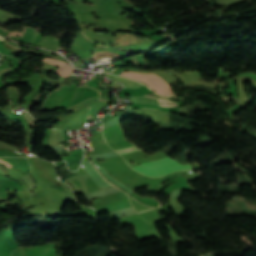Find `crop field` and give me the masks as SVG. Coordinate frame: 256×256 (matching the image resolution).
<instances>
[{"instance_id":"crop-field-2","label":"crop field","mask_w":256,"mask_h":256,"mask_svg":"<svg viewBox=\"0 0 256 256\" xmlns=\"http://www.w3.org/2000/svg\"><path fill=\"white\" fill-rule=\"evenodd\" d=\"M121 75H125L131 78H135L141 81H145L149 83V88L152 90L158 92L161 95H170V91L168 89V85L165 81L161 79V77L155 75V74H142L137 72H122Z\"/></svg>"},{"instance_id":"crop-field-8","label":"crop field","mask_w":256,"mask_h":256,"mask_svg":"<svg viewBox=\"0 0 256 256\" xmlns=\"http://www.w3.org/2000/svg\"><path fill=\"white\" fill-rule=\"evenodd\" d=\"M133 147L135 146H132V147H128V148H124V149H120V150H116L118 153H120L121 155L123 154H127V153H130V152H134V151H137L138 149H134ZM144 149V148H143ZM141 150V149H139Z\"/></svg>"},{"instance_id":"crop-field-1","label":"crop field","mask_w":256,"mask_h":256,"mask_svg":"<svg viewBox=\"0 0 256 256\" xmlns=\"http://www.w3.org/2000/svg\"><path fill=\"white\" fill-rule=\"evenodd\" d=\"M133 169L150 176H164L171 172L185 169H192L190 165H180L174 160L166 157L154 162L144 163L141 166L134 167Z\"/></svg>"},{"instance_id":"crop-field-5","label":"crop field","mask_w":256,"mask_h":256,"mask_svg":"<svg viewBox=\"0 0 256 256\" xmlns=\"http://www.w3.org/2000/svg\"><path fill=\"white\" fill-rule=\"evenodd\" d=\"M131 101L132 102H140V103H148V104H153V105H158V102L156 98L150 97V96H131Z\"/></svg>"},{"instance_id":"crop-field-11","label":"crop field","mask_w":256,"mask_h":256,"mask_svg":"<svg viewBox=\"0 0 256 256\" xmlns=\"http://www.w3.org/2000/svg\"><path fill=\"white\" fill-rule=\"evenodd\" d=\"M148 211V210H147ZM144 212V211H143ZM140 213V212H139Z\"/></svg>"},{"instance_id":"crop-field-9","label":"crop field","mask_w":256,"mask_h":256,"mask_svg":"<svg viewBox=\"0 0 256 256\" xmlns=\"http://www.w3.org/2000/svg\"><path fill=\"white\" fill-rule=\"evenodd\" d=\"M0 163H2V164H4V165H6L7 167H9V168H11L12 166L11 165H9V164H7V163H5L4 161H2V160H0Z\"/></svg>"},{"instance_id":"crop-field-10","label":"crop field","mask_w":256,"mask_h":256,"mask_svg":"<svg viewBox=\"0 0 256 256\" xmlns=\"http://www.w3.org/2000/svg\"><path fill=\"white\" fill-rule=\"evenodd\" d=\"M160 110H163V109H160ZM165 111H168V110H165Z\"/></svg>"},{"instance_id":"crop-field-7","label":"crop field","mask_w":256,"mask_h":256,"mask_svg":"<svg viewBox=\"0 0 256 256\" xmlns=\"http://www.w3.org/2000/svg\"><path fill=\"white\" fill-rule=\"evenodd\" d=\"M158 101H159L160 106H170V107L177 106V104H162L161 102H165V103H177L176 101H170V100H167V99H165V98H158Z\"/></svg>"},{"instance_id":"crop-field-3","label":"crop field","mask_w":256,"mask_h":256,"mask_svg":"<svg viewBox=\"0 0 256 256\" xmlns=\"http://www.w3.org/2000/svg\"><path fill=\"white\" fill-rule=\"evenodd\" d=\"M82 164L85 167L84 169L89 173L90 177L95 181L96 184H98L102 188L112 186L99 175V173L96 171L93 165L89 162L86 156Z\"/></svg>"},{"instance_id":"crop-field-6","label":"crop field","mask_w":256,"mask_h":256,"mask_svg":"<svg viewBox=\"0 0 256 256\" xmlns=\"http://www.w3.org/2000/svg\"><path fill=\"white\" fill-rule=\"evenodd\" d=\"M100 171L113 183L123 187L130 195L132 194V190L127 187L126 185L118 182L116 179H114L112 176H110L103 168H100Z\"/></svg>"},{"instance_id":"crop-field-4","label":"crop field","mask_w":256,"mask_h":256,"mask_svg":"<svg viewBox=\"0 0 256 256\" xmlns=\"http://www.w3.org/2000/svg\"><path fill=\"white\" fill-rule=\"evenodd\" d=\"M45 61H47L50 64H56L59 65L57 73L67 77L68 75H70L71 72L74 71V68L70 66V64L65 63V62H61L52 58H45Z\"/></svg>"}]
</instances>
